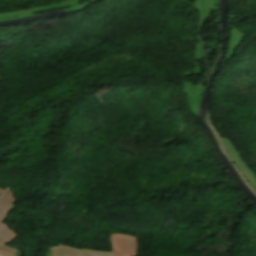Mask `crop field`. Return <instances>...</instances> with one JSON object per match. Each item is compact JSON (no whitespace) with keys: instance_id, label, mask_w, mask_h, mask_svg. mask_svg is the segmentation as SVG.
I'll use <instances>...</instances> for the list:
<instances>
[{"instance_id":"crop-field-1","label":"crop field","mask_w":256,"mask_h":256,"mask_svg":"<svg viewBox=\"0 0 256 256\" xmlns=\"http://www.w3.org/2000/svg\"><path fill=\"white\" fill-rule=\"evenodd\" d=\"M113 256H136V238L111 234Z\"/></svg>"},{"instance_id":"crop-field-2","label":"crop field","mask_w":256,"mask_h":256,"mask_svg":"<svg viewBox=\"0 0 256 256\" xmlns=\"http://www.w3.org/2000/svg\"><path fill=\"white\" fill-rule=\"evenodd\" d=\"M11 195L12 193L9 190H6L5 193L0 197V240L4 244L8 243L17 235L1 223L10 204L14 201Z\"/></svg>"},{"instance_id":"crop-field-3","label":"crop field","mask_w":256,"mask_h":256,"mask_svg":"<svg viewBox=\"0 0 256 256\" xmlns=\"http://www.w3.org/2000/svg\"><path fill=\"white\" fill-rule=\"evenodd\" d=\"M0 243H1V242H0ZM0 255H1V256H9V255L3 254V253H1V252H0Z\"/></svg>"},{"instance_id":"crop-field-4","label":"crop field","mask_w":256,"mask_h":256,"mask_svg":"<svg viewBox=\"0 0 256 256\" xmlns=\"http://www.w3.org/2000/svg\"><path fill=\"white\" fill-rule=\"evenodd\" d=\"M0 193H3V191H2V190H0Z\"/></svg>"}]
</instances>
